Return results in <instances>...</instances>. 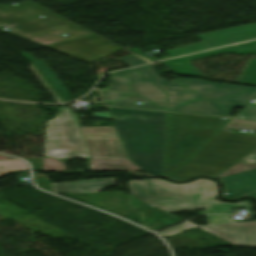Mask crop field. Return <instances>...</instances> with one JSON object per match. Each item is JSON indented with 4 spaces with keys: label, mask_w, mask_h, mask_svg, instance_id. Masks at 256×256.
I'll return each instance as SVG.
<instances>
[{
    "label": "crop field",
    "mask_w": 256,
    "mask_h": 256,
    "mask_svg": "<svg viewBox=\"0 0 256 256\" xmlns=\"http://www.w3.org/2000/svg\"><path fill=\"white\" fill-rule=\"evenodd\" d=\"M135 70L169 94L168 110L172 111L229 116L232 107H244L256 95V88L199 79L167 82L154 72L151 65Z\"/></svg>",
    "instance_id": "crop-field-1"
},
{
    "label": "crop field",
    "mask_w": 256,
    "mask_h": 256,
    "mask_svg": "<svg viewBox=\"0 0 256 256\" xmlns=\"http://www.w3.org/2000/svg\"><path fill=\"white\" fill-rule=\"evenodd\" d=\"M128 184L132 195L166 212L208 209L205 214H228L231 208H250L251 205V202H217L214 200L217 185L204 179L181 185L160 179L129 181Z\"/></svg>",
    "instance_id": "crop-field-2"
},
{
    "label": "crop field",
    "mask_w": 256,
    "mask_h": 256,
    "mask_svg": "<svg viewBox=\"0 0 256 256\" xmlns=\"http://www.w3.org/2000/svg\"><path fill=\"white\" fill-rule=\"evenodd\" d=\"M111 115H145L153 121L114 120L128 157L150 175H162L165 113L108 107Z\"/></svg>",
    "instance_id": "crop-field-3"
},
{
    "label": "crop field",
    "mask_w": 256,
    "mask_h": 256,
    "mask_svg": "<svg viewBox=\"0 0 256 256\" xmlns=\"http://www.w3.org/2000/svg\"><path fill=\"white\" fill-rule=\"evenodd\" d=\"M228 127L256 131V122L232 119L172 179L184 180L195 175L215 177L237 161L256 150V132L247 135L233 133Z\"/></svg>",
    "instance_id": "crop-field-4"
},
{
    "label": "crop field",
    "mask_w": 256,
    "mask_h": 256,
    "mask_svg": "<svg viewBox=\"0 0 256 256\" xmlns=\"http://www.w3.org/2000/svg\"><path fill=\"white\" fill-rule=\"evenodd\" d=\"M39 16L45 18L41 19ZM45 46L93 34V32L31 2L0 5V28ZM68 36L64 37L62 34Z\"/></svg>",
    "instance_id": "crop-field-5"
},
{
    "label": "crop field",
    "mask_w": 256,
    "mask_h": 256,
    "mask_svg": "<svg viewBox=\"0 0 256 256\" xmlns=\"http://www.w3.org/2000/svg\"><path fill=\"white\" fill-rule=\"evenodd\" d=\"M229 120L168 113L165 176L170 177Z\"/></svg>",
    "instance_id": "crop-field-6"
},
{
    "label": "crop field",
    "mask_w": 256,
    "mask_h": 256,
    "mask_svg": "<svg viewBox=\"0 0 256 256\" xmlns=\"http://www.w3.org/2000/svg\"><path fill=\"white\" fill-rule=\"evenodd\" d=\"M110 77L108 87L101 90L106 103L116 106L166 110V95L142 79V76L132 69L113 73ZM136 102L143 104L136 105Z\"/></svg>",
    "instance_id": "crop-field-7"
},
{
    "label": "crop field",
    "mask_w": 256,
    "mask_h": 256,
    "mask_svg": "<svg viewBox=\"0 0 256 256\" xmlns=\"http://www.w3.org/2000/svg\"><path fill=\"white\" fill-rule=\"evenodd\" d=\"M44 156L88 158L87 147L67 108H58V115L48 120Z\"/></svg>",
    "instance_id": "crop-field-8"
},
{
    "label": "crop field",
    "mask_w": 256,
    "mask_h": 256,
    "mask_svg": "<svg viewBox=\"0 0 256 256\" xmlns=\"http://www.w3.org/2000/svg\"><path fill=\"white\" fill-rule=\"evenodd\" d=\"M202 41L196 44L188 45L185 47L165 51L170 56L154 59L149 56L142 54L139 49L132 48L128 49L150 61H156L160 59H165L173 56H178L182 54H187L195 51H200L204 49H209L213 47H218L226 44H231L235 42H240L248 39L256 38V23H251L247 25L237 26L233 28L218 30L214 32L204 33L196 35Z\"/></svg>",
    "instance_id": "crop-field-9"
},
{
    "label": "crop field",
    "mask_w": 256,
    "mask_h": 256,
    "mask_svg": "<svg viewBox=\"0 0 256 256\" xmlns=\"http://www.w3.org/2000/svg\"><path fill=\"white\" fill-rule=\"evenodd\" d=\"M206 217L209 226L199 228L233 245L256 247V221L235 223L230 216ZM217 228H220V230H217Z\"/></svg>",
    "instance_id": "crop-field-10"
},
{
    "label": "crop field",
    "mask_w": 256,
    "mask_h": 256,
    "mask_svg": "<svg viewBox=\"0 0 256 256\" xmlns=\"http://www.w3.org/2000/svg\"><path fill=\"white\" fill-rule=\"evenodd\" d=\"M49 47L87 63L123 49L96 34Z\"/></svg>",
    "instance_id": "crop-field-11"
},
{
    "label": "crop field",
    "mask_w": 256,
    "mask_h": 256,
    "mask_svg": "<svg viewBox=\"0 0 256 256\" xmlns=\"http://www.w3.org/2000/svg\"><path fill=\"white\" fill-rule=\"evenodd\" d=\"M91 158H127L113 127L81 128Z\"/></svg>",
    "instance_id": "crop-field-12"
},
{
    "label": "crop field",
    "mask_w": 256,
    "mask_h": 256,
    "mask_svg": "<svg viewBox=\"0 0 256 256\" xmlns=\"http://www.w3.org/2000/svg\"><path fill=\"white\" fill-rule=\"evenodd\" d=\"M227 52H232L235 54L256 53V41L240 44V45L224 47V48L203 52L199 54H194L190 56H185L181 58H176L172 60H167L161 63L169 66L172 69V71L177 74L204 77L190 61L206 58L214 55H219Z\"/></svg>",
    "instance_id": "crop-field-13"
},
{
    "label": "crop field",
    "mask_w": 256,
    "mask_h": 256,
    "mask_svg": "<svg viewBox=\"0 0 256 256\" xmlns=\"http://www.w3.org/2000/svg\"><path fill=\"white\" fill-rule=\"evenodd\" d=\"M129 198V207L142 216L139 220L144 224L142 226L155 231L168 225L182 221L181 219L166 213L132 195Z\"/></svg>",
    "instance_id": "crop-field-14"
},
{
    "label": "crop field",
    "mask_w": 256,
    "mask_h": 256,
    "mask_svg": "<svg viewBox=\"0 0 256 256\" xmlns=\"http://www.w3.org/2000/svg\"><path fill=\"white\" fill-rule=\"evenodd\" d=\"M226 185L224 196L226 198H235L244 195L256 197V175L248 172L233 177L221 179ZM228 192L229 195H225Z\"/></svg>",
    "instance_id": "crop-field-15"
},
{
    "label": "crop field",
    "mask_w": 256,
    "mask_h": 256,
    "mask_svg": "<svg viewBox=\"0 0 256 256\" xmlns=\"http://www.w3.org/2000/svg\"><path fill=\"white\" fill-rule=\"evenodd\" d=\"M52 191L56 194L98 192L115 184L114 178L90 180L77 183H50Z\"/></svg>",
    "instance_id": "crop-field-16"
},
{
    "label": "crop field",
    "mask_w": 256,
    "mask_h": 256,
    "mask_svg": "<svg viewBox=\"0 0 256 256\" xmlns=\"http://www.w3.org/2000/svg\"><path fill=\"white\" fill-rule=\"evenodd\" d=\"M21 55L30 60L39 69L49 84L55 89V91L62 97L64 101H68V92L43 61L35 59L28 53H22Z\"/></svg>",
    "instance_id": "crop-field-17"
},
{
    "label": "crop field",
    "mask_w": 256,
    "mask_h": 256,
    "mask_svg": "<svg viewBox=\"0 0 256 256\" xmlns=\"http://www.w3.org/2000/svg\"><path fill=\"white\" fill-rule=\"evenodd\" d=\"M90 170H141L129 159H91Z\"/></svg>",
    "instance_id": "crop-field-18"
},
{
    "label": "crop field",
    "mask_w": 256,
    "mask_h": 256,
    "mask_svg": "<svg viewBox=\"0 0 256 256\" xmlns=\"http://www.w3.org/2000/svg\"><path fill=\"white\" fill-rule=\"evenodd\" d=\"M254 154H256V151H254L253 153L248 155L247 158L251 157ZM255 168H256V162L253 164H249L245 160L242 159L238 163H236L235 165H233L232 167H230L229 169H227L226 171H224L223 173H221L220 175H218L215 178L220 179V178L232 175V174L241 173L246 170H251V169H255Z\"/></svg>",
    "instance_id": "crop-field-19"
},
{
    "label": "crop field",
    "mask_w": 256,
    "mask_h": 256,
    "mask_svg": "<svg viewBox=\"0 0 256 256\" xmlns=\"http://www.w3.org/2000/svg\"><path fill=\"white\" fill-rule=\"evenodd\" d=\"M238 83L256 86V60H250Z\"/></svg>",
    "instance_id": "crop-field-20"
},
{
    "label": "crop field",
    "mask_w": 256,
    "mask_h": 256,
    "mask_svg": "<svg viewBox=\"0 0 256 256\" xmlns=\"http://www.w3.org/2000/svg\"><path fill=\"white\" fill-rule=\"evenodd\" d=\"M0 175L12 170H29L28 165L21 160L0 161Z\"/></svg>",
    "instance_id": "crop-field-21"
},
{
    "label": "crop field",
    "mask_w": 256,
    "mask_h": 256,
    "mask_svg": "<svg viewBox=\"0 0 256 256\" xmlns=\"http://www.w3.org/2000/svg\"><path fill=\"white\" fill-rule=\"evenodd\" d=\"M196 225L190 223V222H184L182 224H179L177 226H174L172 228L166 229L164 231L159 232L158 234H160L163 238L168 237L170 235L176 234L178 232L187 230L189 228H192Z\"/></svg>",
    "instance_id": "crop-field-22"
},
{
    "label": "crop field",
    "mask_w": 256,
    "mask_h": 256,
    "mask_svg": "<svg viewBox=\"0 0 256 256\" xmlns=\"http://www.w3.org/2000/svg\"><path fill=\"white\" fill-rule=\"evenodd\" d=\"M120 60H122L129 67L148 63V62L141 60L133 55L125 56L123 58H120Z\"/></svg>",
    "instance_id": "crop-field-23"
},
{
    "label": "crop field",
    "mask_w": 256,
    "mask_h": 256,
    "mask_svg": "<svg viewBox=\"0 0 256 256\" xmlns=\"http://www.w3.org/2000/svg\"><path fill=\"white\" fill-rule=\"evenodd\" d=\"M31 72L37 77V79L44 85V87L50 92V94L54 97L56 103L62 102L60 98L54 93V91L48 86V84L43 80V78L38 74V72L34 69L33 66L29 67Z\"/></svg>",
    "instance_id": "crop-field-24"
},
{
    "label": "crop field",
    "mask_w": 256,
    "mask_h": 256,
    "mask_svg": "<svg viewBox=\"0 0 256 256\" xmlns=\"http://www.w3.org/2000/svg\"><path fill=\"white\" fill-rule=\"evenodd\" d=\"M239 117L256 121V106L249 105Z\"/></svg>",
    "instance_id": "crop-field-25"
},
{
    "label": "crop field",
    "mask_w": 256,
    "mask_h": 256,
    "mask_svg": "<svg viewBox=\"0 0 256 256\" xmlns=\"http://www.w3.org/2000/svg\"><path fill=\"white\" fill-rule=\"evenodd\" d=\"M35 183L40 186L41 188L45 189V190H48V191H51V188H50V184H49V181H45L43 178H41L40 176L38 175H35ZM52 192V191H51Z\"/></svg>",
    "instance_id": "crop-field-26"
},
{
    "label": "crop field",
    "mask_w": 256,
    "mask_h": 256,
    "mask_svg": "<svg viewBox=\"0 0 256 256\" xmlns=\"http://www.w3.org/2000/svg\"><path fill=\"white\" fill-rule=\"evenodd\" d=\"M115 119H135V120H152L151 118H145L144 116H113Z\"/></svg>",
    "instance_id": "crop-field-27"
},
{
    "label": "crop field",
    "mask_w": 256,
    "mask_h": 256,
    "mask_svg": "<svg viewBox=\"0 0 256 256\" xmlns=\"http://www.w3.org/2000/svg\"><path fill=\"white\" fill-rule=\"evenodd\" d=\"M27 161H29L32 164L33 169H36V170L41 169L40 165H41L42 158L28 159Z\"/></svg>",
    "instance_id": "crop-field-28"
},
{
    "label": "crop field",
    "mask_w": 256,
    "mask_h": 256,
    "mask_svg": "<svg viewBox=\"0 0 256 256\" xmlns=\"http://www.w3.org/2000/svg\"><path fill=\"white\" fill-rule=\"evenodd\" d=\"M93 117L110 119L108 113H93Z\"/></svg>",
    "instance_id": "crop-field-29"
},
{
    "label": "crop field",
    "mask_w": 256,
    "mask_h": 256,
    "mask_svg": "<svg viewBox=\"0 0 256 256\" xmlns=\"http://www.w3.org/2000/svg\"><path fill=\"white\" fill-rule=\"evenodd\" d=\"M244 159H245L247 162L252 163V162L256 161V155L252 156V157L249 158V159H246V158H244Z\"/></svg>",
    "instance_id": "crop-field-30"
}]
</instances>
